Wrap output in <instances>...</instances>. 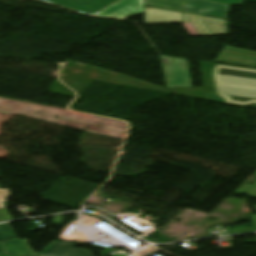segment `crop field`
Here are the masks:
<instances>
[{
	"label": "crop field",
	"instance_id": "8a807250",
	"mask_svg": "<svg viewBox=\"0 0 256 256\" xmlns=\"http://www.w3.org/2000/svg\"><path fill=\"white\" fill-rule=\"evenodd\" d=\"M204 87L202 88H179V89H162L143 82H139L127 77H123L111 72H107L95 67H91L84 64L71 63L65 66L62 70V80L74 87L77 90H81L82 87L90 80H99L104 82H110L115 84L127 85L132 87H138L143 89H149L154 91L202 98L213 100L212 97L204 95L205 92H215L210 71L214 64L200 62Z\"/></svg>",
	"mask_w": 256,
	"mask_h": 256
},
{
	"label": "crop field",
	"instance_id": "ac0d7876",
	"mask_svg": "<svg viewBox=\"0 0 256 256\" xmlns=\"http://www.w3.org/2000/svg\"><path fill=\"white\" fill-rule=\"evenodd\" d=\"M211 74L216 95L224 103L256 104V70L215 64Z\"/></svg>",
	"mask_w": 256,
	"mask_h": 256
},
{
	"label": "crop field",
	"instance_id": "34b2d1b8",
	"mask_svg": "<svg viewBox=\"0 0 256 256\" xmlns=\"http://www.w3.org/2000/svg\"><path fill=\"white\" fill-rule=\"evenodd\" d=\"M146 24L181 22L190 36L227 35V20L145 6Z\"/></svg>",
	"mask_w": 256,
	"mask_h": 256
},
{
	"label": "crop field",
	"instance_id": "412701ff",
	"mask_svg": "<svg viewBox=\"0 0 256 256\" xmlns=\"http://www.w3.org/2000/svg\"><path fill=\"white\" fill-rule=\"evenodd\" d=\"M166 88L192 87L184 59L160 56Z\"/></svg>",
	"mask_w": 256,
	"mask_h": 256
},
{
	"label": "crop field",
	"instance_id": "f4fd0767",
	"mask_svg": "<svg viewBox=\"0 0 256 256\" xmlns=\"http://www.w3.org/2000/svg\"><path fill=\"white\" fill-rule=\"evenodd\" d=\"M0 255L38 256L28 246L26 240H18L9 224L0 225Z\"/></svg>",
	"mask_w": 256,
	"mask_h": 256
},
{
	"label": "crop field",
	"instance_id": "dd49c442",
	"mask_svg": "<svg viewBox=\"0 0 256 256\" xmlns=\"http://www.w3.org/2000/svg\"><path fill=\"white\" fill-rule=\"evenodd\" d=\"M144 12V0H121L94 16L125 20Z\"/></svg>",
	"mask_w": 256,
	"mask_h": 256
},
{
	"label": "crop field",
	"instance_id": "e52e79f7",
	"mask_svg": "<svg viewBox=\"0 0 256 256\" xmlns=\"http://www.w3.org/2000/svg\"><path fill=\"white\" fill-rule=\"evenodd\" d=\"M75 11L93 15L119 0H45Z\"/></svg>",
	"mask_w": 256,
	"mask_h": 256
},
{
	"label": "crop field",
	"instance_id": "d8731c3e",
	"mask_svg": "<svg viewBox=\"0 0 256 256\" xmlns=\"http://www.w3.org/2000/svg\"><path fill=\"white\" fill-rule=\"evenodd\" d=\"M229 7L205 0H186L185 11L227 18Z\"/></svg>",
	"mask_w": 256,
	"mask_h": 256
},
{
	"label": "crop field",
	"instance_id": "5a996713",
	"mask_svg": "<svg viewBox=\"0 0 256 256\" xmlns=\"http://www.w3.org/2000/svg\"><path fill=\"white\" fill-rule=\"evenodd\" d=\"M75 245L53 241L40 256H92L90 252L73 249Z\"/></svg>",
	"mask_w": 256,
	"mask_h": 256
},
{
	"label": "crop field",
	"instance_id": "3316defc",
	"mask_svg": "<svg viewBox=\"0 0 256 256\" xmlns=\"http://www.w3.org/2000/svg\"><path fill=\"white\" fill-rule=\"evenodd\" d=\"M148 5L184 11L185 0H147Z\"/></svg>",
	"mask_w": 256,
	"mask_h": 256
},
{
	"label": "crop field",
	"instance_id": "28ad6ade",
	"mask_svg": "<svg viewBox=\"0 0 256 256\" xmlns=\"http://www.w3.org/2000/svg\"><path fill=\"white\" fill-rule=\"evenodd\" d=\"M237 193L249 194V196H255L256 197V184H254V185L245 184L244 188H239L237 190ZM251 217H252V219H253V221L256 225V215H253Z\"/></svg>",
	"mask_w": 256,
	"mask_h": 256
},
{
	"label": "crop field",
	"instance_id": "d1516ede",
	"mask_svg": "<svg viewBox=\"0 0 256 256\" xmlns=\"http://www.w3.org/2000/svg\"><path fill=\"white\" fill-rule=\"evenodd\" d=\"M228 5H241L242 1L256 2V0H210Z\"/></svg>",
	"mask_w": 256,
	"mask_h": 256
},
{
	"label": "crop field",
	"instance_id": "22f410ed",
	"mask_svg": "<svg viewBox=\"0 0 256 256\" xmlns=\"http://www.w3.org/2000/svg\"><path fill=\"white\" fill-rule=\"evenodd\" d=\"M0 219L1 221L12 219L6 208L0 209Z\"/></svg>",
	"mask_w": 256,
	"mask_h": 256
}]
</instances>
